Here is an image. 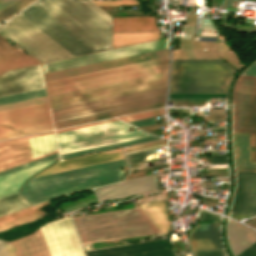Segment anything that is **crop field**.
<instances>
[{
  "label": "crop field",
  "instance_id": "crop-field-1",
  "mask_svg": "<svg viewBox=\"0 0 256 256\" xmlns=\"http://www.w3.org/2000/svg\"><path fill=\"white\" fill-rule=\"evenodd\" d=\"M124 159L32 178L22 189L33 205L51 198L119 182L127 173Z\"/></svg>",
  "mask_w": 256,
  "mask_h": 256
},
{
  "label": "crop field",
  "instance_id": "crop-field-2",
  "mask_svg": "<svg viewBox=\"0 0 256 256\" xmlns=\"http://www.w3.org/2000/svg\"><path fill=\"white\" fill-rule=\"evenodd\" d=\"M40 9L94 52L110 49L111 25L79 0H40Z\"/></svg>",
  "mask_w": 256,
  "mask_h": 256
},
{
  "label": "crop field",
  "instance_id": "crop-field-3",
  "mask_svg": "<svg viewBox=\"0 0 256 256\" xmlns=\"http://www.w3.org/2000/svg\"><path fill=\"white\" fill-rule=\"evenodd\" d=\"M50 256H84L73 223L64 217L40 227ZM40 229L19 240L4 242L9 256H49ZM0 240V256H8Z\"/></svg>",
  "mask_w": 256,
  "mask_h": 256
},
{
  "label": "crop field",
  "instance_id": "crop-field-4",
  "mask_svg": "<svg viewBox=\"0 0 256 256\" xmlns=\"http://www.w3.org/2000/svg\"><path fill=\"white\" fill-rule=\"evenodd\" d=\"M148 219L138 208L73 220L82 242L92 243L160 233Z\"/></svg>",
  "mask_w": 256,
  "mask_h": 256
},
{
  "label": "crop field",
  "instance_id": "crop-field-5",
  "mask_svg": "<svg viewBox=\"0 0 256 256\" xmlns=\"http://www.w3.org/2000/svg\"><path fill=\"white\" fill-rule=\"evenodd\" d=\"M235 71L220 59L173 60L170 93H226Z\"/></svg>",
  "mask_w": 256,
  "mask_h": 256
},
{
  "label": "crop field",
  "instance_id": "crop-field-6",
  "mask_svg": "<svg viewBox=\"0 0 256 256\" xmlns=\"http://www.w3.org/2000/svg\"><path fill=\"white\" fill-rule=\"evenodd\" d=\"M168 70V57L46 82L48 94L75 91Z\"/></svg>",
  "mask_w": 256,
  "mask_h": 256
},
{
  "label": "crop field",
  "instance_id": "crop-field-7",
  "mask_svg": "<svg viewBox=\"0 0 256 256\" xmlns=\"http://www.w3.org/2000/svg\"><path fill=\"white\" fill-rule=\"evenodd\" d=\"M165 90H166V86L145 90V91H140V92H135V93H130V94H125L121 96L96 100L92 102L67 106L63 108L53 109L51 110V112H52V116L55 117V116H60L64 114H69V113H74L78 111L105 106V107L97 108L93 110L55 117L53 118V121H54V124H56V123L70 121V120H75V119L95 116L99 114L119 111L123 109L162 102L165 99Z\"/></svg>",
  "mask_w": 256,
  "mask_h": 256
},
{
  "label": "crop field",
  "instance_id": "crop-field-8",
  "mask_svg": "<svg viewBox=\"0 0 256 256\" xmlns=\"http://www.w3.org/2000/svg\"><path fill=\"white\" fill-rule=\"evenodd\" d=\"M121 121L56 134L60 154L151 136Z\"/></svg>",
  "mask_w": 256,
  "mask_h": 256
},
{
  "label": "crop field",
  "instance_id": "crop-field-9",
  "mask_svg": "<svg viewBox=\"0 0 256 256\" xmlns=\"http://www.w3.org/2000/svg\"><path fill=\"white\" fill-rule=\"evenodd\" d=\"M0 35L44 62L72 56L20 14L0 27Z\"/></svg>",
  "mask_w": 256,
  "mask_h": 256
},
{
  "label": "crop field",
  "instance_id": "crop-field-10",
  "mask_svg": "<svg viewBox=\"0 0 256 256\" xmlns=\"http://www.w3.org/2000/svg\"><path fill=\"white\" fill-rule=\"evenodd\" d=\"M167 72L49 97L51 109L166 85Z\"/></svg>",
  "mask_w": 256,
  "mask_h": 256
},
{
  "label": "crop field",
  "instance_id": "crop-field-11",
  "mask_svg": "<svg viewBox=\"0 0 256 256\" xmlns=\"http://www.w3.org/2000/svg\"><path fill=\"white\" fill-rule=\"evenodd\" d=\"M53 129L47 102L0 112V140Z\"/></svg>",
  "mask_w": 256,
  "mask_h": 256
},
{
  "label": "crop field",
  "instance_id": "crop-field-12",
  "mask_svg": "<svg viewBox=\"0 0 256 256\" xmlns=\"http://www.w3.org/2000/svg\"><path fill=\"white\" fill-rule=\"evenodd\" d=\"M53 131L41 133L37 135H32L28 137H23L19 139H14L10 141H5L0 143V172L54 153L58 151L56 148L55 136ZM52 134V135H46ZM46 135V136H41ZM41 136V137H36ZM36 137V138H30ZM31 151V156L36 157L49 152V153L40 157L31 159L28 141Z\"/></svg>",
  "mask_w": 256,
  "mask_h": 256
},
{
  "label": "crop field",
  "instance_id": "crop-field-13",
  "mask_svg": "<svg viewBox=\"0 0 256 256\" xmlns=\"http://www.w3.org/2000/svg\"><path fill=\"white\" fill-rule=\"evenodd\" d=\"M233 131L256 134V77L241 75L236 83Z\"/></svg>",
  "mask_w": 256,
  "mask_h": 256
},
{
  "label": "crop field",
  "instance_id": "crop-field-14",
  "mask_svg": "<svg viewBox=\"0 0 256 256\" xmlns=\"http://www.w3.org/2000/svg\"><path fill=\"white\" fill-rule=\"evenodd\" d=\"M20 14L73 56L93 52L34 4Z\"/></svg>",
  "mask_w": 256,
  "mask_h": 256
},
{
  "label": "crop field",
  "instance_id": "crop-field-15",
  "mask_svg": "<svg viewBox=\"0 0 256 256\" xmlns=\"http://www.w3.org/2000/svg\"><path fill=\"white\" fill-rule=\"evenodd\" d=\"M169 39L42 64L44 73L168 48Z\"/></svg>",
  "mask_w": 256,
  "mask_h": 256
},
{
  "label": "crop field",
  "instance_id": "crop-field-16",
  "mask_svg": "<svg viewBox=\"0 0 256 256\" xmlns=\"http://www.w3.org/2000/svg\"><path fill=\"white\" fill-rule=\"evenodd\" d=\"M43 87L40 65L8 71L0 76V96Z\"/></svg>",
  "mask_w": 256,
  "mask_h": 256
},
{
  "label": "crop field",
  "instance_id": "crop-field-17",
  "mask_svg": "<svg viewBox=\"0 0 256 256\" xmlns=\"http://www.w3.org/2000/svg\"><path fill=\"white\" fill-rule=\"evenodd\" d=\"M99 201L120 199L127 196L157 191L156 175L123 181L122 183L94 190Z\"/></svg>",
  "mask_w": 256,
  "mask_h": 256
},
{
  "label": "crop field",
  "instance_id": "crop-field-18",
  "mask_svg": "<svg viewBox=\"0 0 256 256\" xmlns=\"http://www.w3.org/2000/svg\"><path fill=\"white\" fill-rule=\"evenodd\" d=\"M166 56H168V49L126 57V58H121V59H116V60H111V61H106V62H101V63H96V64H91V65H86V66H81V67H76V68H71V69H66V70H61V71H56V72H51V73H46L44 74V76H45V80L48 81V80H53V79L73 76L77 74L137 63L141 61H146V60H151V59H156V58H161Z\"/></svg>",
  "mask_w": 256,
  "mask_h": 256
},
{
  "label": "crop field",
  "instance_id": "crop-field-19",
  "mask_svg": "<svg viewBox=\"0 0 256 256\" xmlns=\"http://www.w3.org/2000/svg\"><path fill=\"white\" fill-rule=\"evenodd\" d=\"M237 185L230 213L256 214V175L236 174Z\"/></svg>",
  "mask_w": 256,
  "mask_h": 256
},
{
  "label": "crop field",
  "instance_id": "crop-field-20",
  "mask_svg": "<svg viewBox=\"0 0 256 256\" xmlns=\"http://www.w3.org/2000/svg\"><path fill=\"white\" fill-rule=\"evenodd\" d=\"M219 225L220 223L195 225L189 234L191 250L223 249Z\"/></svg>",
  "mask_w": 256,
  "mask_h": 256
},
{
  "label": "crop field",
  "instance_id": "crop-field-21",
  "mask_svg": "<svg viewBox=\"0 0 256 256\" xmlns=\"http://www.w3.org/2000/svg\"><path fill=\"white\" fill-rule=\"evenodd\" d=\"M122 149L64 160L59 163L57 162L58 164L50 167L49 169L41 172L36 176L74 169V168L93 165V164H98V163H103V162H108V161L117 160V159H122L124 158L121 152Z\"/></svg>",
  "mask_w": 256,
  "mask_h": 256
},
{
  "label": "crop field",
  "instance_id": "crop-field-22",
  "mask_svg": "<svg viewBox=\"0 0 256 256\" xmlns=\"http://www.w3.org/2000/svg\"><path fill=\"white\" fill-rule=\"evenodd\" d=\"M56 159H51L0 177V198L17 193L23 183L32 175L46 168Z\"/></svg>",
  "mask_w": 256,
  "mask_h": 256
},
{
  "label": "crop field",
  "instance_id": "crop-field-23",
  "mask_svg": "<svg viewBox=\"0 0 256 256\" xmlns=\"http://www.w3.org/2000/svg\"><path fill=\"white\" fill-rule=\"evenodd\" d=\"M7 42L9 41L0 37V73L7 69L39 63L35 58L22 54Z\"/></svg>",
  "mask_w": 256,
  "mask_h": 256
},
{
  "label": "crop field",
  "instance_id": "crop-field-24",
  "mask_svg": "<svg viewBox=\"0 0 256 256\" xmlns=\"http://www.w3.org/2000/svg\"><path fill=\"white\" fill-rule=\"evenodd\" d=\"M113 33L159 32L154 17L113 18Z\"/></svg>",
  "mask_w": 256,
  "mask_h": 256
},
{
  "label": "crop field",
  "instance_id": "crop-field-25",
  "mask_svg": "<svg viewBox=\"0 0 256 256\" xmlns=\"http://www.w3.org/2000/svg\"><path fill=\"white\" fill-rule=\"evenodd\" d=\"M227 235L235 256L256 241V232L231 220L228 222Z\"/></svg>",
  "mask_w": 256,
  "mask_h": 256
},
{
  "label": "crop field",
  "instance_id": "crop-field-26",
  "mask_svg": "<svg viewBox=\"0 0 256 256\" xmlns=\"http://www.w3.org/2000/svg\"><path fill=\"white\" fill-rule=\"evenodd\" d=\"M233 151L235 166L256 168V162H250L248 134L233 132ZM241 167H235L236 171L256 172L255 168Z\"/></svg>",
  "mask_w": 256,
  "mask_h": 256
},
{
  "label": "crop field",
  "instance_id": "crop-field-27",
  "mask_svg": "<svg viewBox=\"0 0 256 256\" xmlns=\"http://www.w3.org/2000/svg\"><path fill=\"white\" fill-rule=\"evenodd\" d=\"M163 106H164V102L157 103V104H152V105H148V106H143V107H138V108H133V109H128V110H123V111H119V112L99 115V116H95V117H90V118L70 121V122H66V123L56 124V125H54V127L56 129H59V128H64V127L78 125V124H83V123H88V122L108 119V118H112V117H117V116H122V115L137 113V112H142V111H146V110L161 108Z\"/></svg>",
  "mask_w": 256,
  "mask_h": 256
},
{
  "label": "crop field",
  "instance_id": "crop-field-28",
  "mask_svg": "<svg viewBox=\"0 0 256 256\" xmlns=\"http://www.w3.org/2000/svg\"><path fill=\"white\" fill-rule=\"evenodd\" d=\"M159 39V33L113 34L112 48Z\"/></svg>",
  "mask_w": 256,
  "mask_h": 256
},
{
  "label": "crop field",
  "instance_id": "crop-field-29",
  "mask_svg": "<svg viewBox=\"0 0 256 256\" xmlns=\"http://www.w3.org/2000/svg\"><path fill=\"white\" fill-rule=\"evenodd\" d=\"M29 206L24 198L19 194H14L0 199V215Z\"/></svg>",
  "mask_w": 256,
  "mask_h": 256
},
{
  "label": "crop field",
  "instance_id": "crop-field-30",
  "mask_svg": "<svg viewBox=\"0 0 256 256\" xmlns=\"http://www.w3.org/2000/svg\"><path fill=\"white\" fill-rule=\"evenodd\" d=\"M46 205H48V201L41 203L39 205L30 207V208H27V209H24V210H21V211H18V212H15V213L3 216V217H0V226L10 223V222H13V221H16V220H19V219H23V218L41 213V212H44L40 209Z\"/></svg>",
  "mask_w": 256,
  "mask_h": 256
},
{
  "label": "crop field",
  "instance_id": "crop-field-31",
  "mask_svg": "<svg viewBox=\"0 0 256 256\" xmlns=\"http://www.w3.org/2000/svg\"><path fill=\"white\" fill-rule=\"evenodd\" d=\"M152 139H157V138L154 137V136H151V137H146V138H141V139L126 141V142L111 144V145H107V146H102V147H97V148H92V149H87V150H82V151H77V152L62 154V155H60V157H61V159H62V158H65V157H70V156H75V155H80V154H86V153H91V152H96V151L111 149V148H115V147H120V146H124V145H129V144L138 143V142L148 141V140H152Z\"/></svg>",
  "mask_w": 256,
  "mask_h": 256
},
{
  "label": "crop field",
  "instance_id": "crop-field-32",
  "mask_svg": "<svg viewBox=\"0 0 256 256\" xmlns=\"http://www.w3.org/2000/svg\"><path fill=\"white\" fill-rule=\"evenodd\" d=\"M44 95H46L45 88L33 90V91H29V92L0 97V104L34 98V97H39V96H44Z\"/></svg>",
  "mask_w": 256,
  "mask_h": 256
},
{
  "label": "crop field",
  "instance_id": "crop-field-33",
  "mask_svg": "<svg viewBox=\"0 0 256 256\" xmlns=\"http://www.w3.org/2000/svg\"><path fill=\"white\" fill-rule=\"evenodd\" d=\"M34 0H16L14 3L6 7L0 12V19H7Z\"/></svg>",
  "mask_w": 256,
  "mask_h": 256
},
{
  "label": "crop field",
  "instance_id": "crop-field-34",
  "mask_svg": "<svg viewBox=\"0 0 256 256\" xmlns=\"http://www.w3.org/2000/svg\"><path fill=\"white\" fill-rule=\"evenodd\" d=\"M45 101H47L46 96L39 97V98H34V99H29V100H24V101H19V102H14V103H9V104H4V105H0V111L1 110H6V109H11V108H16V107H20V106L45 102Z\"/></svg>",
  "mask_w": 256,
  "mask_h": 256
},
{
  "label": "crop field",
  "instance_id": "crop-field-35",
  "mask_svg": "<svg viewBox=\"0 0 256 256\" xmlns=\"http://www.w3.org/2000/svg\"><path fill=\"white\" fill-rule=\"evenodd\" d=\"M162 114H164L163 109L140 113V114H135V115H130V116L119 117L118 119L123 120L125 122H129V121L153 117V116L162 115Z\"/></svg>",
  "mask_w": 256,
  "mask_h": 256
},
{
  "label": "crop field",
  "instance_id": "crop-field-36",
  "mask_svg": "<svg viewBox=\"0 0 256 256\" xmlns=\"http://www.w3.org/2000/svg\"><path fill=\"white\" fill-rule=\"evenodd\" d=\"M44 216H46V212L41 213V214H38V215H35V216H32V217H29V218H26V219H23V220H19V221L10 223V224L4 225V226H1V227H0V232H1V231H4V230H6V229H9V228H11V227H14V226H16V225H20V224H25V223L32 222V221L37 220V219H40V218H42V217H44Z\"/></svg>",
  "mask_w": 256,
  "mask_h": 256
},
{
  "label": "crop field",
  "instance_id": "crop-field-37",
  "mask_svg": "<svg viewBox=\"0 0 256 256\" xmlns=\"http://www.w3.org/2000/svg\"><path fill=\"white\" fill-rule=\"evenodd\" d=\"M84 4H86L89 8H91L93 11H95L98 15H100L103 19H105L108 23L111 24V17L105 13L103 10H101L99 7H97L95 4H93L89 0H81Z\"/></svg>",
  "mask_w": 256,
  "mask_h": 256
},
{
  "label": "crop field",
  "instance_id": "crop-field-38",
  "mask_svg": "<svg viewBox=\"0 0 256 256\" xmlns=\"http://www.w3.org/2000/svg\"><path fill=\"white\" fill-rule=\"evenodd\" d=\"M93 2H95L98 5H139L136 0L93 1Z\"/></svg>",
  "mask_w": 256,
  "mask_h": 256
},
{
  "label": "crop field",
  "instance_id": "crop-field-39",
  "mask_svg": "<svg viewBox=\"0 0 256 256\" xmlns=\"http://www.w3.org/2000/svg\"><path fill=\"white\" fill-rule=\"evenodd\" d=\"M193 256H227L224 250L192 251Z\"/></svg>",
  "mask_w": 256,
  "mask_h": 256
},
{
  "label": "crop field",
  "instance_id": "crop-field-40",
  "mask_svg": "<svg viewBox=\"0 0 256 256\" xmlns=\"http://www.w3.org/2000/svg\"><path fill=\"white\" fill-rule=\"evenodd\" d=\"M127 156V160L128 163H135V162H140V161H144L146 160L145 157H147V152H139V153H133V154H128Z\"/></svg>",
  "mask_w": 256,
  "mask_h": 256
},
{
  "label": "crop field",
  "instance_id": "crop-field-41",
  "mask_svg": "<svg viewBox=\"0 0 256 256\" xmlns=\"http://www.w3.org/2000/svg\"><path fill=\"white\" fill-rule=\"evenodd\" d=\"M57 156H58V153L54 154V155H51V156H48V157H45V158H42V159H39V160H36V161H33V162H30V163H27V164H24V165H21V166H18V167H15V168H12V169H9V170H6V171H3V172L0 173V175H3V174H6V173L15 171V170L27 167V166H30V165H33V164H36V163H39V162H42V161H45V160L57 157Z\"/></svg>",
  "mask_w": 256,
  "mask_h": 256
},
{
  "label": "crop field",
  "instance_id": "crop-field-42",
  "mask_svg": "<svg viewBox=\"0 0 256 256\" xmlns=\"http://www.w3.org/2000/svg\"><path fill=\"white\" fill-rule=\"evenodd\" d=\"M200 220H210V219H220L221 216L214 213L208 212L206 210H201L199 212Z\"/></svg>",
  "mask_w": 256,
  "mask_h": 256
},
{
  "label": "crop field",
  "instance_id": "crop-field-43",
  "mask_svg": "<svg viewBox=\"0 0 256 256\" xmlns=\"http://www.w3.org/2000/svg\"><path fill=\"white\" fill-rule=\"evenodd\" d=\"M238 256H256V242L240 253Z\"/></svg>",
  "mask_w": 256,
  "mask_h": 256
},
{
  "label": "crop field",
  "instance_id": "crop-field-44",
  "mask_svg": "<svg viewBox=\"0 0 256 256\" xmlns=\"http://www.w3.org/2000/svg\"><path fill=\"white\" fill-rule=\"evenodd\" d=\"M137 127H140V126H144V125H152V124H155L153 118H150V119H145V120H139V121H134V122H129Z\"/></svg>",
  "mask_w": 256,
  "mask_h": 256
},
{
  "label": "crop field",
  "instance_id": "crop-field-45",
  "mask_svg": "<svg viewBox=\"0 0 256 256\" xmlns=\"http://www.w3.org/2000/svg\"><path fill=\"white\" fill-rule=\"evenodd\" d=\"M164 143H166V142L157 141V142H152V143H147V144H141V145L128 147L127 150L138 149V148H143V147H148V146H153V145H159V144H164Z\"/></svg>",
  "mask_w": 256,
  "mask_h": 256
},
{
  "label": "crop field",
  "instance_id": "crop-field-46",
  "mask_svg": "<svg viewBox=\"0 0 256 256\" xmlns=\"http://www.w3.org/2000/svg\"><path fill=\"white\" fill-rule=\"evenodd\" d=\"M112 121H117V120H116V119H112V120L102 121V122H98V123H93V124H88V125L73 127V128H69V129H64V130L56 131V133H58V132H63V131H68V130H73V129H78V128H83V127L92 126V125H97V124H102V123H107V122H112Z\"/></svg>",
  "mask_w": 256,
  "mask_h": 256
},
{
  "label": "crop field",
  "instance_id": "crop-field-47",
  "mask_svg": "<svg viewBox=\"0 0 256 256\" xmlns=\"http://www.w3.org/2000/svg\"><path fill=\"white\" fill-rule=\"evenodd\" d=\"M243 74L256 76V61Z\"/></svg>",
  "mask_w": 256,
  "mask_h": 256
},
{
  "label": "crop field",
  "instance_id": "crop-field-48",
  "mask_svg": "<svg viewBox=\"0 0 256 256\" xmlns=\"http://www.w3.org/2000/svg\"><path fill=\"white\" fill-rule=\"evenodd\" d=\"M225 119V116H203L204 121Z\"/></svg>",
  "mask_w": 256,
  "mask_h": 256
},
{
  "label": "crop field",
  "instance_id": "crop-field-49",
  "mask_svg": "<svg viewBox=\"0 0 256 256\" xmlns=\"http://www.w3.org/2000/svg\"><path fill=\"white\" fill-rule=\"evenodd\" d=\"M15 0H4L3 2L0 3V11L4 9L6 6L14 2Z\"/></svg>",
  "mask_w": 256,
  "mask_h": 256
},
{
  "label": "crop field",
  "instance_id": "crop-field-50",
  "mask_svg": "<svg viewBox=\"0 0 256 256\" xmlns=\"http://www.w3.org/2000/svg\"><path fill=\"white\" fill-rule=\"evenodd\" d=\"M185 256H190V255H185Z\"/></svg>",
  "mask_w": 256,
  "mask_h": 256
},
{
  "label": "crop field",
  "instance_id": "crop-field-51",
  "mask_svg": "<svg viewBox=\"0 0 256 256\" xmlns=\"http://www.w3.org/2000/svg\"><path fill=\"white\" fill-rule=\"evenodd\" d=\"M2 0H0V2H1Z\"/></svg>",
  "mask_w": 256,
  "mask_h": 256
}]
</instances>
